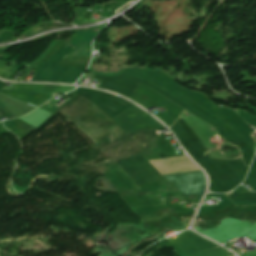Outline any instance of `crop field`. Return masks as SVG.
Masks as SVG:
<instances>
[{
	"instance_id": "8a807250",
	"label": "crop field",
	"mask_w": 256,
	"mask_h": 256,
	"mask_svg": "<svg viewBox=\"0 0 256 256\" xmlns=\"http://www.w3.org/2000/svg\"><path fill=\"white\" fill-rule=\"evenodd\" d=\"M0 101L17 117L25 115L36 108L3 93H0Z\"/></svg>"
}]
</instances>
